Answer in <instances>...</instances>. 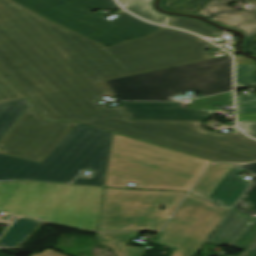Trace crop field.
Returning <instances> with one entry per match:
<instances>
[{
	"label": "crop field",
	"instance_id": "crop-field-35",
	"mask_svg": "<svg viewBox=\"0 0 256 256\" xmlns=\"http://www.w3.org/2000/svg\"><path fill=\"white\" fill-rule=\"evenodd\" d=\"M226 164H229V163H226ZM231 165H234V166H236L237 164H231Z\"/></svg>",
	"mask_w": 256,
	"mask_h": 256
},
{
	"label": "crop field",
	"instance_id": "crop-field-2",
	"mask_svg": "<svg viewBox=\"0 0 256 256\" xmlns=\"http://www.w3.org/2000/svg\"><path fill=\"white\" fill-rule=\"evenodd\" d=\"M29 106L26 98L0 103V138ZM111 137V132L77 123L42 163L0 154V180L70 182L93 169L88 179L73 183L103 186Z\"/></svg>",
	"mask_w": 256,
	"mask_h": 256
},
{
	"label": "crop field",
	"instance_id": "crop-field-33",
	"mask_svg": "<svg viewBox=\"0 0 256 256\" xmlns=\"http://www.w3.org/2000/svg\"><path fill=\"white\" fill-rule=\"evenodd\" d=\"M256 6V0H247Z\"/></svg>",
	"mask_w": 256,
	"mask_h": 256
},
{
	"label": "crop field",
	"instance_id": "crop-field-11",
	"mask_svg": "<svg viewBox=\"0 0 256 256\" xmlns=\"http://www.w3.org/2000/svg\"><path fill=\"white\" fill-rule=\"evenodd\" d=\"M75 124L46 122L30 106L0 139V153L42 162Z\"/></svg>",
	"mask_w": 256,
	"mask_h": 256
},
{
	"label": "crop field",
	"instance_id": "crop-field-18",
	"mask_svg": "<svg viewBox=\"0 0 256 256\" xmlns=\"http://www.w3.org/2000/svg\"><path fill=\"white\" fill-rule=\"evenodd\" d=\"M236 0H213L196 15L242 31L246 37L256 33V9L237 11L228 4Z\"/></svg>",
	"mask_w": 256,
	"mask_h": 256
},
{
	"label": "crop field",
	"instance_id": "crop-field-23",
	"mask_svg": "<svg viewBox=\"0 0 256 256\" xmlns=\"http://www.w3.org/2000/svg\"><path fill=\"white\" fill-rule=\"evenodd\" d=\"M168 26L178 27L182 29H186L197 33L202 36H206L209 38L219 36L221 33L219 30L213 29L201 22L192 20V19H185V18H178V17H171L167 23Z\"/></svg>",
	"mask_w": 256,
	"mask_h": 256
},
{
	"label": "crop field",
	"instance_id": "crop-field-12",
	"mask_svg": "<svg viewBox=\"0 0 256 256\" xmlns=\"http://www.w3.org/2000/svg\"><path fill=\"white\" fill-rule=\"evenodd\" d=\"M102 190L103 187L69 185L40 219L96 230Z\"/></svg>",
	"mask_w": 256,
	"mask_h": 256
},
{
	"label": "crop field",
	"instance_id": "crop-field-20",
	"mask_svg": "<svg viewBox=\"0 0 256 256\" xmlns=\"http://www.w3.org/2000/svg\"><path fill=\"white\" fill-rule=\"evenodd\" d=\"M39 221L19 219L0 238V249H15L39 224Z\"/></svg>",
	"mask_w": 256,
	"mask_h": 256
},
{
	"label": "crop field",
	"instance_id": "crop-field-22",
	"mask_svg": "<svg viewBox=\"0 0 256 256\" xmlns=\"http://www.w3.org/2000/svg\"><path fill=\"white\" fill-rule=\"evenodd\" d=\"M256 173V163L240 166ZM233 209L256 219V181L243 194Z\"/></svg>",
	"mask_w": 256,
	"mask_h": 256
},
{
	"label": "crop field",
	"instance_id": "crop-field-16",
	"mask_svg": "<svg viewBox=\"0 0 256 256\" xmlns=\"http://www.w3.org/2000/svg\"><path fill=\"white\" fill-rule=\"evenodd\" d=\"M241 169L226 165L213 164L193 193L210 196L230 207L237 200L242 191L249 184L237 176Z\"/></svg>",
	"mask_w": 256,
	"mask_h": 256
},
{
	"label": "crop field",
	"instance_id": "crop-field-17",
	"mask_svg": "<svg viewBox=\"0 0 256 256\" xmlns=\"http://www.w3.org/2000/svg\"><path fill=\"white\" fill-rule=\"evenodd\" d=\"M210 240L235 244V249L243 250L238 256H256V221L232 210Z\"/></svg>",
	"mask_w": 256,
	"mask_h": 256
},
{
	"label": "crop field",
	"instance_id": "crop-field-4",
	"mask_svg": "<svg viewBox=\"0 0 256 256\" xmlns=\"http://www.w3.org/2000/svg\"><path fill=\"white\" fill-rule=\"evenodd\" d=\"M80 122L129 135L211 160H256V141L239 131L216 134L204 131L199 121L81 120Z\"/></svg>",
	"mask_w": 256,
	"mask_h": 256
},
{
	"label": "crop field",
	"instance_id": "crop-field-13",
	"mask_svg": "<svg viewBox=\"0 0 256 256\" xmlns=\"http://www.w3.org/2000/svg\"><path fill=\"white\" fill-rule=\"evenodd\" d=\"M67 186L36 182L0 183V210L39 218Z\"/></svg>",
	"mask_w": 256,
	"mask_h": 256
},
{
	"label": "crop field",
	"instance_id": "crop-field-15",
	"mask_svg": "<svg viewBox=\"0 0 256 256\" xmlns=\"http://www.w3.org/2000/svg\"><path fill=\"white\" fill-rule=\"evenodd\" d=\"M211 162L171 150L142 189L189 191Z\"/></svg>",
	"mask_w": 256,
	"mask_h": 256
},
{
	"label": "crop field",
	"instance_id": "crop-field-7",
	"mask_svg": "<svg viewBox=\"0 0 256 256\" xmlns=\"http://www.w3.org/2000/svg\"><path fill=\"white\" fill-rule=\"evenodd\" d=\"M186 194L105 188L98 231L158 230Z\"/></svg>",
	"mask_w": 256,
	"mask_h": 256
},
{
	"label": "crop field",
	"instance_id": "crop-field-30",
	"mask_svg": "<svg viewBox=\"0 0 256 256\" xmlns=\"http://www.w3.org/2000/svg\"><path fill=\"white\" fill-rule=\"evenodd\" d=\"M237 120L256 121V113L237 115Z\"/></svg>",
	"mask_w": 256,
	"mask_h": 256
},
{
	"label": "crop field",
	"instance_id": "crop-field-32",
	"mask_svg": "<svg viewBox=\"0 0 256 256\" xmlns=\"http://www.w3.org/2000/svg\"><path fill=\"white\" fill-rule=\"evenodd\" d=\"M171 220L180 222V223H184V224H188V223L193 222L195 219L194 218H181V219L172 218Z\"/></svg>",
	"mask_w": 256,
	"mask_h": 256
},
{
	"label": "crop field",
	"instance_id": "crop-field-24",
	"mask_svg": "<svg viewBox=\"0 0 256 256\" xmlns=\"http://www.w3.org/2000/svg\"><path fill=\"white\" fill-rule=\"evenodd\" d=\"M210 1L211 0H161V7L168 10L195 14Z\"/></svg>",
	"mask_w": 256,
	"mask_h": 256
},
{
	"label": "crop field",
	"instance_id": "crop-field-5",
	"mask_svg": "<svg viewBox=\"0 0 256 256\" xmlns=\"http://www.w3.org/2000/svg\"><path fill=\"white\" fill-rule=\"evenodd\" d=\"M118 100H166L199 91L203 96L232 90L230 56L105 81Z\"/></svg>",
	"mask_w": 256,
	"mask_h": 256
},
{
	"label": "crop field",
	"instance_id": "crop-field-21",
	"mask_svg": "<svg viewBox=\"0 0 256 256\" xmlns=\"http://www.w3.org/2000/svg\"><path fill=\"white\" fill-rule=\"evenodd\" d=\"M120 4L133 14L153 23L164 24L168 16L160 14L151 8L152 0H118Z\"/></svg>",
	"mask_w": 256,
	"mask_h": 256
},
{
	"label": "crop field",
	"instance_id": "crop-field-26",
	"mask_svg": "<svg viewBox=\"0 0 256 256\" xmlns=\"http://www.w3.org/2000/svg\"><path fill=\"white\" fill-rule=\"evenodd\" d=\"M25 96L1 71H0V102Z\"/></svg>",
	"mask_w": 256,
	"mask_h": 256
},
{
	"label": "crop field",
	"instance_id": "crop-field-34",
	"mask_svg": "<svg viewBox=\"0 0 256 256\" xmlns=\"http://www.w3.org/2000/svg\"><path fill=\"white\" fill-rule=\"evenodd\" d=\"M204 237H205V236H204V235H202L201 239L203 240V239H204Z\"/></svg>",
	"mask_w": 256,
	"mask_h": 256
},
{
	"label": "crop field",
	"instance_id": "crop-field-19",
	"mask_svg": "<svg viewBox=\"0 0 256 256\" xmlns=\"http://www.w3.org/2000/svg\"><path fill=\"white\" fill-rule=\"evenodd\" d=\"M136 236L134 232L97 233V241L110 246L117 256H142L146 249L127 246Z\"/></svg>",
	"mask_w": 256,
	"mask_h": 256
},
{
	"label": "crop field",
	"instance_id": "crop-field-6",
	"mask_svg": "<svg viewBox=\"0 0 256 256\" xmlns=\"http://www.w3.org/2000/svg\"><path fill=\"white\" fill-rule=\"evenodd\" d=\"M44 18L94 39L106 46L147 35L163 27L154 26L122 12L112 21L93 10H116L113 0H14Z\"/></svg>",
	"mask_w": 256,
	"mask_h": 256
},
{
	"label": "crop field",
	"instance_id": "crop-field-36",
	"mask_svg": "<svg viewBox=\"0 0 256 256\" xmlns=\"http://www.w3.org/2000/svg\"><path fill=\"white\" fill-rule=\"evenodd\" d=\"M209 198V197H208ZM220 203V202H219ZM222 204V203H221ZM224 205V204H223ZM226 206V205H225ZM228 207V206H227ZM230 208V207H229Z\"/></svg>",
	"mask_w": 256,
	"mask_h": 256
},
{
	"label": "crop field",
	"instance_id": "crop-field-25",
	"mask_svg": "<svg viewBox=\"0 0 256 256\" xmlns=\"http://www.w3.org/2000/svg\"><path fill=\"white\" fill-rule=\"evenodd\" d=\"M256 64L236 65V88L256 85Z\"/></svg>",
	"mask_w": 256,
	"mask_h": 256
},
{
	"label": "crop field",
	"instance_id": "crop-field-14",
	"mask_svg": "<svg viewBox=\"0 0 256 256\" xmlns=\"http://www.w3.org/2000/svg\"><path fill=\"white\" fill-rule=\"evenodd\" d=\"M133 120H206L214 104H232V92L192 100L188 109L179 103L121 102ZM122 105V106H123Z\"/></svg>",
	"mask_w": 256,
	"mask_h": 256
},
{
	"label": "crop field",
	"instance_id": "crop-field-3",
	"mask_svg": "<svg viewBox=\"0 0 256 256\" xmlns=\"http://www.w3.org/2000/svg\"><path fill=\"white\" fill-rule=\"evenodd\" d=\"M215 46L188 33L163 28L111 47L99 45L67 55L73 85L209 59Z\"/></svg>",
	"mask_w": 256,
	"mask_h": 256
},
{
	"label": "crop field",
	"instance_id": "crop-field-29",
	"mask_svg": "<svg viewBox=\"0 0 256 256\" xmlns=\"http://www.w3.org/2000/svg\"><path fill=\"white\" fill-rule=\"evenodd\" d=\"M243 49L250 54L256 55V34L245 39Z\"/></svg>",
	"mask_w": 256,
	"mask_h": 256
},
{
	"label": "crop field",
	"instance_id": "crop-field-31",
	"mask_svg": "<svg viewBox=\"0 0 256 256\" xmlns=\"http://www.w3.org/2000/svg\"><path fill=\"white\" fill-rule=\"evenodd\" d=\"M32 256H64V255H61L59 253H56L47 249L44 252H42L40 255H32Z\"/></svg>",
	"mask_w": 256,
	"mask_h": 256
},
{
	"label": "crop field",
	"instance_id": "crop-field-28",
	"mask_svg": "<svg viewBox=\"0 0 256 256\" xmlns=\"http://www.w3.org/2000/svg\"><path fill=\"white\" fill-rule=\"evenodd\" d=\"M238 125L246 134L256 138V122L238 121Z\"/></svg>",
	"mask_w": 256,
	"mask_h": 256
},
{
	"label": "crop field",
	"instance_id": "crop-field-9",
	"mask_svg": "<svg viewBox=\"0 0 256 256\" xmlns=\"http://www.w3.org/2000/svg\"><path fill=\"white\" fill-rule=\"evenodd\" d=\"M169 151L113 133L104 186L141 189ZM128 183L137 185L126 186Z\"/></svg>",
	"mask_w": 256,
	"mask_h": 256
},
{
	"label": "crop field",
	"instance_id": "crop-field-1",
	"mask_svg": "<svg viewBox=\"0 0 256 256\" xmlns=\"http://www.w3.org/2000/svg\"><path fill=\"white\" fill-rule=\"evenodd\" d=\"M99 43L0 0V69L27 95L72 87L66 54Z\"/></svg>",
	"mask_w": 256,
	"mask_h": 256
},
{
	"label": "crop field",
	"instance_id": "crop-field-27",
	"mask_svg": "<svg viewBox=\"0 0 256 256\" xmlns=\"http://www.w3.org/2000/svg\"><path fill=\"white\" fill-rule=\"evenodd\" d=\"M237 114L256 112V95H237Z\"/></svg>",
	"mask_w": 256,
	"mask_h": 256
},
{
	"label": "crop field",
	"instance_id": "crop-field-10",
	"mask_svg": "<svg viewBox=\"0 0 256 256\" xmlns=\"http://www.w3.org/2000/svg\"><path fill=\"white\" fill-rule=\"evenodd\" d=\"M228 210L208 198L190 194L174 217H195V222L184 225L169 221L157 244L176 249L171 256H194ZM202 234L207 235L203 241L199 240Z\"/></svg>",
	"mask_w": 256,
	"mask_h": 256
},
{
	"label": "crop field",
	"instance_id": "crop-field-8",
	"mask_svg": "<svg viewBox=\"0 0 256 256\" xmlns=\"http://www.w3.org/2000/svg\"><path fill=\"white\" fill-rule=\"evenodd\" d=\"M112 93L102 81L30 96L28 100L47 120L131 119L122 105L109 108L105 103H97Z\"/></svg>",
	"mask_w": 256,
	"mask_h": 256
}]
</instances>
